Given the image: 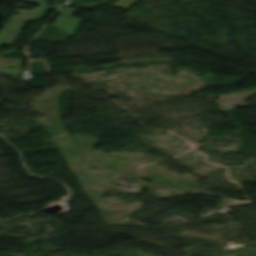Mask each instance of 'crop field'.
<instances>
[{"mask_svg": "<svg viewBox=\"0 0 256 256\" xmlns=\"http://www.w3.org/2000/svg\"><path fill=\"white\" fill-rule=\"evenodd\" d=\"M50 9H53V6L43 5L37 10L23 12L19 16L10 20L4 25V29L0 32V46L14 43V39L23 28L24 23L41 17L44 12Z\"/></svg>", "mask_w": 256, "mask_h": 256, "instance_id": "1", "label": "crop field"}, {"mask_svg": "<svg viewBox=\"0 0 256 256\" xmlns=\"http://www.w3.org/2000/svg\"><path fill=\"white\" fill-rule=\"evenodd\" d=\"M134 0H118L113 6L126 9Z\"/></svg>", "mask_w": 256, "mask_h": 256, "instance_id": "3", "label": "crop field"}, {"mask_svg": "<svg viewBox=\"0 0 256 256\" xmlns=\"http://www.w3.org/2000/svg\"><path fill=\"white\" fill-rule=\"evenodd\" d=\"M75 8L73 7H65L60 6L59 12H62L61 15L58 17L56 22L53 24V27L62 29L67 31V34L72 35L74 30L77 28L81 19L71 16L74 12Z\"/></svg>", "mask_w": 256, "mask_h": 256, "instance_id": "2", "label": "crop field"}, {"mask_svg": "<svg viewBox=\"0 0 256 256\" xmlns=\"http://www.w3.org/2000/svg\"><path fill=\"white\" fill-rule=\"evenodd\" d=\"M20 1H26V2L37 3V4L45 2V0H20Z\"/></svg>", "mask_w": 256, "mask_h": 256, "instance_id": "4", "label": "crop field"}]
</instances>
